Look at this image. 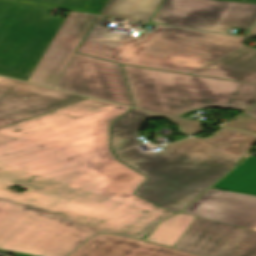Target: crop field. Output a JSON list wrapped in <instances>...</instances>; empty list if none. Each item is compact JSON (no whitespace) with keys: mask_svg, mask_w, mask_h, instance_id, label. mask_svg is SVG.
I'll return each instance as SVG.
<instances>
[{"mask_svg":"<svg viewBox=\"0 0 256 256\" xmlns=\"http://www.w3.org/2000/svg\"><path fill=\"white\" fill-rule=\"evenodd\" d=\"M222 256H256V232L247 230Z\"/></svg>","mask_w":256,"mask_h":256,"instance_id":"19","label":"crop field"},{"mask_svg":"<svg viewBox=\"0 0 256 256\" xmlns=\"http://www.w3.org/2000/svg\"><path fill=\"white\" fill-rule=\"evenodd\" d=\"M224 126L256 133V120L244 115L238 117L233 122L225 124Z\"/></svg>","mask_w":256,"mask_h":256,"instance_id":"20","label":"crop field"},{"mask_svg":"<svg viewBox=\"0 0 256 256\" xmlns=\"http://www.w3.org/2000/svg\"><path fill=\"white\" fill-rule=\"evenodd\" d=\"M154 113H156V112H154ZM157 114L167 116L170 119L174 120L175 122L179 123L182 126L183 130H185L190 135L195 134V132L197 131V129L201 125V123H199L197 121L188 120V119H184V118H180V117H176V116H171V115H166V114H161V113H157Z\"/></svg>","mask_w":256,"mask_h":256,"instance_id":"21","label":"crop field"},{"mask_svg":"<svg viewBox=\"0 0 256 256\" xmlns=\"http://www.w3.org/2000/svg\"><path fill=\"white\" fill-rule=\"evenodd\" d=\"M135 106L179 116L201 108L244 110L256 103V85L122 65Z\"/></svg>","mask_w":256,"mask_h":256,"instance_id":"4","label":"crop field"},{"mask_svg":"<svg viewBox=\"0 0 256 256\" xmlns=\"http://www.w3.org/2000/svg\"><path fill=\"white\" fill-rule=\"evenodd\" d=\"M156 117L130 111L113 124L112 143L118 159L150 177L136 193L170 211H180L195 200L256 142V135L223 128L213 138H190L163 153L139 152L138 128L145 119Z\"/></svg>","mask_w":256,"mask_h":256,"instance_id":"2","label":"crop field"},{"mask_svg":"<svg viewBox=\"0 0 256 256\" xmlns=\"http://www.w3.org/2000/svg\"><path fill=\"white\" fill-rule=\"evenodd\" d=\"M196 218L184 213L174 216L160 223L147 240L173 247Z\"/></svg>","mask_w":256,"mask_h":256,"instance_id":"17","label":"crop field"},{"mask_svg":"<svg viewBox=\"0 0 256 256\" xmlns=\"http://www.w3.org/2000/svg\"><path fill=\"white\" fill-rule=\"evenodd\" d=\"M70 256H197L124 236L100 234Z\"/></svg>","mask_w":256,"mask_h":256,"instance_id":"13","label":"crop field"},{"mask_svg":"<svg viewBox=\"0 0 256 256\" xmlns=\"http://www.w3.org/2000/svg\"><path fill=\"white\" fill-rule=\"evenodd\" d=\"M213 187L256 196V157L246 159Z\"/></svg>","mask_w":256,"mask_h":256,"instance_id":"16","label":"crop field"},{"mask_svg":"<svg viewBox=\"0 0 256 256\" xmlns=\"http://www.w3.org/2000/svg\"><path fill=\"white\" fill-rule=\"evenodd\" d=\"M192 74L256 83V49L245 46Z\"/></svg>","mask_w":256,"mask_h":256,"instance_id":"14","label":"crop field"},{"mask_svg":"<svg viewBox=\"0 0 256 256\" xmlns=\"http://www.w3.org/2000/svg\"><path fill=\"white\" fill-rule=\"evenodd\" d=\"M49 12L0 1V75L27 81L64 21Z\"/></svg>","mask_w":256,"mask_h":256,"instance_id":"6","label":"crop field"},{"mask_svg":"<svg viewBox=\"0 0 256 256\" xmlns=\"http://www.w3.org/2000/svg\"><path fill=\"white\" fill-rule=\"evenodd\" d=\"M95 18L70 12L28 82L55 87Z\"/></svg>","mask_w":256,"mask_h":256,"instance_id":"10","label":"crop field"},{"mask_svg":"<svg viewBox=\"0 0 256 256\" xmlns=\"http://www.w3.org/2000/svg\"><path fill=\"white\" fill-rule=\"evenodd\" d=\"M98 231L0 199V251L66 256Z\"/></svg>","mask_w":256,"mask_h":256,"instance_id":"5","label":"crop field"},{"mask_svg":"<svg viewBox=\"0 0 256 256\" xmlns=\"http://www.w3.org/2000/svg\"><path fill=\"white\" fill-rule=\"evenodd\" d=\"M162 0H110L102 14L150 22Z\"/></svg>","mask_w":256,"mask_h":256,"instance_id":"15","label":"crop field"},{"mask_svg":"<svg viewBox=\"0 0 256 256\" xmlns=\"http://www.w3.org/2000/svg\"><path fill=\"white\" fill-rule=\"evenodd\" d=\"M246 230L197 218L173 248L201 256H221Z\"/></svg>","mask_w":256,"mask_h":256,"instance_id":"12","label":"crop field"},{"mask_svg":"<svg viewBox=\"0 0 256 256\" xmlns=\"http://www.w3.org/2000/svg\"><path fill=\"white\" fill-rule=\"evenodd\" d=\"M99 14L107 0H5Z\"/></svg>","mask_w":256,"mask_h":256,"instance_id":"18","label":"crop field"},{"mask_svg":"<svg viewBox=\"0 0 256 256\" xmlns=\"http://www.w3.org/2000/svg\"><path fill=\"white\" fill-rule=\"evenodd\" d=\"M245 115H248V116L253 117V118L256 119V107L253 108L252 110L246 112Z\"/></svg>","mask_w":256,"mask_h":256,"instance_id":"22","label":"crop field"},{"mask_svg":"<svg viewBox=\"0 0 256 256\" xmlns=\"http://www.w3.org/2000/svg\"><path fill=\"white\" fill-rule=\"evenodd\" d=\"M256 4L216 0H165L152 22L228 34L231 27L250 29Z\"/></svg>","mask_w":256,"mask_h":256,"instance_id":"7","label":"crop field"},{"mask_svg":"<svg viewBox=\"0 0 256 256\" xmlns=\"http://www.w3.org/2000/svg\"><path fill=\"white\" fill-rule=\"evenodd\" d=\"M250 36H256V25L254 26L253 30L251 31Z\"/></svg>","mask_w":256,"mask_h":256,"instance_id":"24","label":"crop field"},{"mask_svg":"<svg viewBox=\"0 0 256 256\" xmlns=\"http://www.w3.org/2000/svg\"><path fill=\"white\" fill-rule=\"evenodd\" d=\"M56 88L132 106L120 65L77 53Z\"/></svg>","mask_w":256,"mask_h":256,"instance_id":"8","label":"crop field"},{"mask_svg":"<svg viewBox=\"0 0 256 256\" xmlns=\"http://www.w3.org/2000/svg\"><path fill=\"white\" fill-rule=\"evenodd\" d=\"M129 109L87 98L0 128V198L100 232L147 235L174 214L132 194L146 177L109 148L111 122Z\"/></svg>","mask_w":256,"mask_h":256,"instance_id":"1","label":"crop field"},{"mask_svg":"<svg viewBox=\"0 0 256 256\" xmlns=\"http://www.w3.org/2000/svg\"><path fill=\"white\" fill-rule=\"evenodd\" d=\"M227 1H241V2H253V3H256V0H227Z\"/></svg>","mask_w":256,"mask_h":256,"instance_id":"23","label":"crop field"},{"mask_svg":"<svg viewBox=\"0 0 256 256\" xmlns=\"http://www.w3.org/2000/svg\"><path fill=\"white\" fill-rule=\"evenodd\" d=\"M84 98L0 77V127L62 108Z\"/></svg>","mask_w":256,"mask_h":256,"instance_id":"9","label":"crop field"},{"mask_svg":"<svg viewBox=\"0 0 256 256\" xmlns=\"http://www.w3.org/2000/svg\"><path fill=\"white\" fill-rule=\"evenodd\" d=\"M184 213L248 229L256 223V197L210 189Z\"/></svg>","mask_w":256,"mask_h":256,"instance_id":"11","label":"crop field"},{"mask_svg":"<svg viewBox=\"0 0 256 256\" xmlns=\"http://www.w3.org/2000/svg\"><path fill=\"white\" fill-rule=\"evenodd\" d=\"M99 17L78 52L122 64L189 74L241 47L245 39L157 25L128 37L108 33Z\"/></svg>","mask_w":256,"mask_h":256,"instance_id":"3","label":"crop field"},{"mask_svg":"<svg viewBox=\"0 0 256 256\" xmlns=\"http://www.w3.org/2000/svg\"><path fill=\"white\" fill-rule=\"evenodd\" d=\"M203 130H204V129H202L201 126H200V128L198 129V131L196 132V134L202 132Z\"/></svg>","mask_w":256,"mask_h":256,"instance_id":"25","label":"crop field"}]
</instances>
